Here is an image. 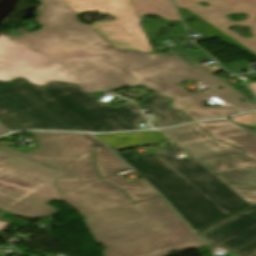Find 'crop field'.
<instances>
[{
    "label": "crop field",
    "instance_id": "5a996713",
    "mask_svg": "<svg viewBox=\"0 0 256 256\" xmlns=\"http://www.w3.org/2000/svg\"><path fill=\"white\" fill-rule=\"evenodd\" d=\"M175 5L191 14L184 20L201 18L204 22L187 24L188 28L208 36H221L224 41L256 56V0H173ZM198 2L209 3L204 7ZM232 13H247L250 17L242 22H232L226 16ZM202 20V21H203ZM186 25V24H185ZM232 25L252 27L253 38L244 39L227 28Z\"/></svg>",
    "mask_w": 256,
    "mask_h": 256
},
{
    "label": "crop field",
    "instance_id": "00972430",
    "mask_svg": "<svg viewBox=\"0 0 256 256\" xmlns=\"http://www.w3.org/2000/svg\"><path fill=\"white\" fill-rule=\"evenodd\" d=\"M5 129V128H4ZM2 127H0V135L8 133V131L4 130Z\"/></svg>",
    "mask_w": 256,
    "mask_h": 256
},
{
    "label": "crop field",
    "instance_id": "bc2a9ffb",
    "mask_svg": "<svg viewBox=\"0 0 256 256\" xmlns=\"http://www.w3.org/2000/svg\"><path fill=\"white\" fill-rule=\"evenodd\" d=\"M83 139L86 140L89 144L92 143V145L98 147L104 146L101 142H99L95 137H91V134H81Z\"/></svg>",
    "mask_w": 256,
    "mask_h": 256
},
{
    "label": "crop field",
    "instance_id": "214f88e0",
    "mask_svg": "<svg viewBox=\"0 0 256 256\" xmlns=\"http://www.w3.org/2000/svg\"><path fill=\"white\" fill-rule=\"evenodd\" d=\"M235 89H237L240 93H242L244 96H246L249 100H251L253 103V94L251 93V91L245 87L244 85L239 86V87H235ZM251 97V98H249Z\"/></svg>",
    "mask_w": 256,
    "mask_h": 256
},
{
    "label": "crop field",
    "instance_id": "d8731c3e",
    "mask_svg": "<svg viewBox=\"0 0 256 256\" xmlns=\"http://www.w3.org/2000/svg\"><path fill=\"white\" fill-rule=\"evenodd\" d=\"M77 14L98 11L115 16L118 23L92 26L113 46L153 52L136 16L152 14L167 20L179 19L170 0H62ZM159 8V10H156Z\"/></svg>",
    "mask_w": 256,
    "mask_h": 256
},
{
    "label": "crop field",
    "instance_id": "28ad6ade",
    "mask_svg": "<svg viewBox=\"0 0 256 256\" xmlns=\"http://www.w3.org/2000/svg\"><path fill=\"white\" fill-rule=\"evenodd\" d=\"M93 158L99 178L122 189L134 203L159 196L143 180L128 183L122 177L115 176L114 172L129 167L106 146L96 149Z\"/></svg>",
    "mask_w": 256,
    "mask_h": 256
},
{
    "label": "crop field",
    "instance_id": "733c2abd",
    "mask_svg": "<svg viewBox=\"0 0 256 256\" xmlns=\"http://www.w3.org/2000/svg\"><path fill=\"white\" fill-rule=\"evenodd\" d=\"M223 68L227 69L228 71L234 73V74H240V70H246L248 71L249 65L246 63L245 60L233 64H226L222 65Z\"/></svg>",
    "mask_w": 256,
    "mask_h": 256
},
{
    "label": "crop field",
    "instance_id": "dd49c442",
    "mask_svg": "<svg viewBox=\"0 0 256 256\" xmlns=\"http://www.w3.org/2000/svg\"><path fill=\"white\" fill-rule=\"evenodd\" d=\"M41 148L27 154L0 149L38 163L57 166L67 175L55 180L64 202L89 216L132 204L124 193L99 180L92 162L94 147L78 133L34 132Z\"/></svg>",
    "mask_w": 256,
    "mask_h": 256
},
{
    "label": "crop field",
    "instance_id": "730fd06b",
    "mask_svg": "<svg viewBox=\"0 0 256 256\" xmlns=\"http://www.w3.org/2000/svg\"><path fill=\"white\" fill-rule=\"evenodd\" d=\"M252 75L256 76V73H252Z\"/></svg>",
    "mask_w": 256,
    "mask_h": 256
},
{
    "label": "crop field",
    "instance_id": "22f410ed",
    "mask_svg": "<svg viewBox=\"0 0 256 256\" xmlns=\"http://www.w3.org/2000/svg\"><path fill=\"white\" fill-rule=\"evenodd\" d=\"M96 136L103 140L113 150L156 144L159 143L161 140L167 139L164 135L160 134L157 131L138 133H116ZM111 136H114V138H111ZM126 139H128V141H125Z\"/></svg>",
    "mask_w": 256,
    "mask_h": 256
},
{
    "label": "crop field",
    "instance_id": "a9b5d70f",
    "mask_svg": "<svg viewBox=\"0 0 256 256\" xmlns=\"http://www.w3.org/2000/svg\"><path fill=\"white\" fill-rule=\"evenodd\" d=\"M42 92V91H41ZM43 93V92H42ZM44 94V93H43ZM45 95V94H44ZM46 96V95H45ZM47 97V96H46ZM48 98V97H47ZM49 99V98H48ZM50 100V99H49ZM51 101V100H50ZM52 102V101H51ZM53 103V102H52ZM54 104V103H53ZM55 105V104H54ZM56 106V105H55ZM57 107V106H56ZM58 108V107H57ZM59 109V108H58ZM60 110V109H59ZM61 111V110H60ZM62 112V111H61ZM63 113V112H62ZM64 114V113H63ZM65 115V114H64ZM66 116V115H65ZM67 117V116H66ZM68 118V117H67ZM69 119V118H68ZM70 120V119H69ZM71 121V120H70ZM73 122V121H72ZM74 123V122H73ZM75 126V125H74ZM76 127V126H75ZM77 128V127H76ZM78 129V128H77ZM79 130V129H78Z\"/></svg>",
    "mask_w": 256,
    "mask_h": 256
},
{
    "label": "crop field",
    "instance_id": "dafd665d",
    "mask_svg": "<svg viewBox=\"0 0 256 256\" xmlns=\"http://www.w3.org/2000/svg\"><path fill=\"white\" fill-rule=\"evenodd\" d=\"M7 226H9V224L0 222V231L6 228Z\"/></svg>",
    "mask_w": 256,
    "mask_h": 256
},
{
    "label": "crop field",
    "instance_id": "f4fd0767",
    "mask_svg": "<svg viewBox=\"0 0 256 256\" xmlns=\"http://www.w3.org/2000/svg\"><path fill=\"white\" fill-rule=\"evenodd\" d=\"M86 219L97 243L108 249L104 256H166L204 246L161 198Z\"/></svg>",
    "mask_w": 256,
    "mask_h": 256
},
{
    "label": "crop field",
    "instance_id": "412701ff",
    "mask_svg": "<svg viewBox=\"0 0 256 256\" xmlns=\"http://www.w3.org/2000/svg\"><path fill=\"white\" fill-rule=\"evenodd\" d=\"M177 147L133 156L118 152L198 232L248 206L190 157L177 158Z\"/></svg>",
    "mask_w": 256,
    "mask_h": 256
},
{
    "label": "crop field",
    "instance_id": "5142ce71",
    "mask_svg": "<svg viewBox=\"0 0 256 256\" xmlns=\"http://www.w3.org/2000/svg\"><path fill=\"white\" fill-rule=\"evenodd\" d=\"M137 18H138L139 21L143 20L142 16L137 17ZM147 21L149 23H151V24L150 25H147V24L142 25L141 27H142L143 31L158 30L160 27L164 28V29H168L166 27L172 24V21H166V20H157V21H149V20H147ZM159 22H161L163 24L162 25H157V23H159ZM172 25L176 26L175 28L183 27L182 24L181 25L180 24H172ZM147 28H148V30H146Z\"/></svg>",
    "mask_w": 256,
    "mask_h": 256
},
{
    "label": "crop field",
    "instance_id": "e52e79f7",
    "mask_svg": "<svg viewBox=\"0 0 256 256\" xmlns=\"http://www.w3.org/2000/svg\"><path fill=\"white\" fill-rule=\"evenodd\" d=\"M65 173L0 150V209L26 218L52 216L63 201L54 180Z\"/></svg>",
    "mask_w": 256,
    "mask_h": 256
},
{
    "label": "crop field",
    "instance_id": "3316defc",
    "mask_svg": "<svg viewBox=\"0 0 256 256\" xmlns=\"http://www.w3.org/2000/svg\"><path fill=\"white\" fill-rule=\"evenodd\" d=\"M16 77L41 86L49 81L79 83L86 92L97 91L55 60L0 34V80Z\"/></svg>",
    "mask_w": 256,
    "mask_h": 256
},
{
    "label": "crop field",
    "instance_id": "d1516ede",
    "mask_svg": "<svg viewBox=\"0 0 256 256\" xmlns=\"http://www.w3.org/2000/svg\"><path fill=\"white\" fill-rule=\"evenodd\" d=\"M216 139L243 148L246 156L256 159V136L226 120L198 122Z\"/></svg>",
    "mask_w": 256,
    "mask_h": 256
},
{
    "label": "crop field",
    "instance_id": "ac0d7876",
    "mask_svg": "<svg viewBox=\"0 0 256 256\" xmlns=\"http://www.w3.org/2000/svg\"><path fill=\"white\" fill-rule=\"evenodd\" d=\"M81 131L106 132L138 129L143 117L130 106L114 107L97 102L78 85L53 82L42 90ZM0 123L10 130H77L40 92L22 79L0 83Z\"/></svg>",
    "mask_w": 256,
    "mask_h": 256
},
{
    "label": "crop field",
    "instance_id": "4a817a6b",
    "mask_svg": "<svg viewBox=\"0 0 256 256\" xmlns=\"http://www.w3.org/2000/svg\"><path fill=\"white\" fill-rule=\"evenodd\" d=\"M171 31L177 32L178 35H174L173 37L167 36V37H165L164 39H166V38L178 39V38H185V37H188L184 28L175 29V30H171ZM157 32H158V31H157ZM145 34H146V36H147L149 42L156 40L155 31L145 32ZM153 35H154V37H153ZM161 39H162V38H161ZM162 40H163V39H162Z\"/></svg>",
    "mask_w": 256,
    "mask_h": 256
},
{
    "label": "crop field",
    "instance_id": "4177f3b9",
    "mask_svg": "<svg viewBox=\"0 0 256 256\" xmlns=\"http://www.w3.org/2000/svg\"><path fill=\"white\" fill-rule=\"evenodd\" d=\"M105 22H116V21H105ZM105 22H95L94 24L105 23Z\"/></svg>",
    "mask_w": 256,
    "mask_h": 256
},
{
    "label": "crop field",
    "instance_id": "cbeb9de0",
    "mask_svg": "<svg viewBox=\"0 0 256 256\" xmlns=\"http://www.w3.org/2000/svg\"><path fill=\"white\" fill-rule=\"evenodd\" d=\"M169 101L153 93L137 103L141 108L148 109L157 114L160 122L156 124V128L190 122L181 111L169 109L167 106Z\"/></svg>",
    "mask_w": 256,
    "mask_h": 256
},
{
    "label": "crop field",
    "instance_id": "92a150f3",
    "mask_svg": "<svg viewBox=\"0 0 256 256\" xmlns=\"http://www.w3.org/2000/svg\"><path fill=\"white\" fill-rule=\"evenodd\" d=\"M253 92L254 94L256 95V84H249L247 85Z\"/></svg>",
    "mask_w": 256,
    "mask_h": 256
},
{
    "label": "crop field",
    "instance_id": "d9b57169",
    "mask_svg": "<svg viewBox=\"0 0 256 256\" xmlns=\"http://www.w3.org/2000/svg\"><path fill=\"white\" fill-rule=\"evenodd\" d=\"M230 120L237 123L256 126V113L241 114Z\"/></svg>",
    "mask_w": 256,
    "mask_h": 256
},
{
    "label": "crop field",
    "instance_id": "8a807250",
    "mask_svg": "<svg viewBox=\"0 0 256 256\" xmlns=\"http://www.w3.org/2000/svg\"><path fill=\"white\" fill-rule=\"evenodd\" d=\"M39 1L44 6L39 10L41 15L37 21L43 30L23 34L16 40L61 62L89 85L104 91L143 86L172 98L171 107L183 110L193 120L239 112L231 106L202 107L203 100L210 94H189L179 85L184 80H200L211 87L207 92L239 110H256L237 90L211 76L212 71L204 65L190 66L179 56L116 49L90 25L76 21V13L61 0ZM239 98L247 102L240 104Z\"/></svg>",
    "mask_w": 256,
    "mask_h": 256
},
{
    "label": "crop field",
    "instance_id": "34b2d1b8",
    "mask_svg": "<svg viewBox=\"0 0 256 256\" xmlns=\"http://www.w3.org/2000/svg\"><path fill=\"white\" fill-rule=\"evenodd\" d=\"M160 131L250 204L197 234L211 249L220 246L236 256L255 255L256 161L244 157L241 149L213 139L194 124Z\"/></svg>",
    "mask_w": 256,
    "mask_h": 256
}]
</instances>
